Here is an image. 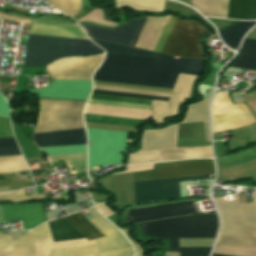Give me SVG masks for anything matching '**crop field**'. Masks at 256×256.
<instances>
[{
    "mask_svg": "<svg viewBox=\"0 0 256 256\" xmlns=\"http://www.w3.org/2000/svg\"><path fill=\"white\" fill-rule=\"evenodd\" d=\"M203 67L204 59L169 58L161 54L157 58L107 54L93 79L173 88L179 72L200 76Z\"/></svg>",
    "mask_w": 256,
    "mask_h": 256,
    "instance_id": "8a807250",
    "label": "crop field"
},
{
    "mask_svg": "<svg viewBox=\"0 0 256 256\" xmlns=\"http://www.w3.org/2000/svg\"><path fill=\"white\" fill-rule=\"evenodd\" d=\"M215 173L214 162L187 160L158 163L153 170L134 173V181ZM204 175L134 182L135 202L180 198L178 181L197 180Z\"/></svg>",
    "mask_w": 256,
    "mask_h": 256,
    "instance_id": "ac0d7876",
    "label": "crop field"
},
{
    "mask_svg": "<svg viewBox=\"0 0 256 256\" xmlns=\"http://www.w3.org/2000/svg\"><path fill=\"white\" fill-rule=\"evenodd\" d=\"M147 236L169 239L170 251L179 252V238H214L217 214L192 215L139 224Z\"/></svg>",
    "mask_w": 256,
    "mask_h": 256,
    "instance_id": "34b2d1b8",
    "label": "crop field"
},
{
    "mask_svg": "<svg viewBox=\"0 0 256 256\" xmlns=\"http://www.w3.org/2000/svg\"><path fill=\"white\" fill-rule=\"evenodd\" d=\"M221 217L219 234L256 237V189L253 203L214 198ZM219 235L216 244L256 247V238Z\"/></svg>",
    "mask_w": 256,
    "mask_h": 256,
    "instance_id": "412701ff",
    "label": "crop field"
},
{
    "mask_svg": "<svg viewBox=\"0 0 256 256\" xmlns=\"http://www.w3.org/2000/svg\"><path fill=\"white\" fill-rule=\"evenodd\" d=\"M66 38L30 35L27 44L25 67H43L57 58L64 57ZM104 51L94 43L67 38L65 56L102 54Z\"/></svg>",
    "mask_w": 256,
    "mask_h": 256,
    "instance_id": "f4fd0767",
    "label": "crop field"
},
{
    "mask_svg": "<svg viewBox=\"0 0 256 256\" xmlns=\"http://www.w3.org/2000/svg\"><path fill=\"white\" fill-rule=\"evenodd\" d=\"M208 31L194 20H182L171 15L154 51L205 58L200 38Z\"/></svg>",
    "mask_w": 256,
    "mask_h": 256,
    "instance_id": "dd49c442",
    "label": "crop field"
},
{
    "mask_svg": "<svg viewBox=\"0 0 256 256\" xmlns=\"http://www.w3.org/2000/svg\"><path fill=\"white\" fill-rule=\"evenodd\" d=\"M212 132L236 129L256 122L244 104L232 105L228 93L217 92L211 107Z\"/></svg>",
    "mask_w": 256,
    "mask_h": 256,
    "instance_id": "e52e79f7",
    "label": "crop field"
},
{
    "mask_svg": "<svg viewBox=\"0 0 256 256\" xmlns=\"http://www.w3.org/2000/svg\"><path fill=\"white\" fill-rule=\"evenodd\" d=\"M211 90L207 100L190 105L186 118L180 123L208 121V102L213 93ZM178 125L168 126L162 130L145 131L143 134V147L140 151L176 147ZM139 152V151H138Z\"/></svg>",
    "mask_w": 256,
    "mask_h": 256,
    "instance_id": "d8731c3e",
    "label": "crop field"
},
{
    "mask_svg": "<svg viewBox=\"0 0 256 256\" xmlns=\"http://www.w3.org/2000/svg\"><path fill=\"white\" fill-rule=\"evenodd\" d=\"M250 0H191L193 7L205 16L248 20ZM256 19V0L250 2L249 20Z\"/></svg>",
    "mask_w": 256,
    "mask_h": 256,
    "instance_id": "5a996713",
    "label": "crop field"
},
{
    "mask_svg": "<svg viewBox=\"0 0 256 256\" xmlns=\"http://www.w3.org/2000/svg\"><path fill=\"white\" fill-rule=\"evenodd\" d=\"M148 16L140 19H131L124 22L120 27L115 29H107L103 27H97L90 24H80L81 27L85 26L91 38L113 41L121 44L134 46L139 34L143 28V25Z\"/></svg>",
    "mask_w": 256,
    "mask_h": 256,
    "instance_id": "3316defc",
    "label": "crop field"
},
{
    "mask_svg": "<svg viewBox=\"0 0 256 256\" xmlns=\"http://www.w3.org/2000/svg\"><path fill=\"white\" fill-rule=\"evenodd\" d=\"M1 224L22 221L24 230L33 229L47 221L43 203L0 205Z\"/></svg>",
    "mask_w": 256,
    "mask_h": 256,
    "instance_id": "28ad6ade",
    "label": "crop field"
},
{
    "mask_svg": "<svg viewBox=\"0 0 256 256\" xmlns=\"http://www.w3.org/2000/svg\"><path fill=\"white\" fill-rule=\"evenodd\" d=\"M193 202H194V199L180 201V202H174V203H168V204H162V205H156V206H150V207H144V208H138V209H132L129 211L128 215L149 212V211H155V210H161V209H167V208H173V207H179V206H185V205H191V204H193ZM192 212H196L194 205L173 208V209H167V210H161V211H155V212H149V213H143V214H137V215H131V216H128L126 223H137V222L153 220V219L175 217V216H179V215H187Z\"/></svg>",
    "mask_w": 256,
    "mask_h": 256,
    "instance_id": "d1516ede",
    "label": "crop field"
},
{
    "mask_svg": "<svg viewBox=\"0 0 256 256\" xmlns=\"http://www.w3.org/2000/svg\"><path fill=\"white\" fill-rule=\"evenodd\" d=\"M88 212L94 217L89 219V221L106 236L95 239L101 251L119 250L131 247L123 234L103 218L95 208L88 210Z\"/></svg>",
    "mask_w": 256,
    "mask_h": 256,
    "instance_id": "22f410ed",
    "label": "crop field"
},
{
    "mask_svg": "<svg viewBox=\"0 0 256 256\" xmlns=\"http://www.w3.org/2000/svg\"><path fill=\"white\" fill-rule=\"evenodd\" d=\"M53 242L47 222L22 239L0 250V254L12 256H36V244Z\"/></svg>",
    "mask_w": 256,
    "mask_h": 256,
    "instance_id": "cbeb9de0",
    "label": "crop field"
},
{
    "mask_svg": "<svg viewBox=\"0 0 256 256\" xmlns=\"http://www.w3.org/2000/svg\"><path fill=\"white\" fill-rule=\"evenodd\" d=\"M30 34L71 37L88 40L78 25L43 19H33Z\"/></svg>",
    "mask_w": 256,
    "mask_h": 256,
    "instance_id": "5142ce71",
    "label": "crop field"
},
{
    "mask_svg": "<svg viewBox=\"0 0 256 256\" xmlns=\"http://www.w3.org/2000/svg\"><path fill=\"white\" fill-rule=\"evenodd\" d=\"M38 147L86 144L84 129L34 134Z\"/></svg>",
    "mask_w": 256,
    "mask_h": 256,
    "instance_id": "d9b57169",
    "label": "crop field"
},
{
    "mask_svg": "<svg viewBox=\"0 0 256 256\" xmlns=\"http://www.w3.org/2000/svg\"><path fill=\"white\" fill-rule=\"evenodd\" d=\"M168 18L149 17L135 46L153 51Z\"/></svg>",
    "mask_w": 256,
    "mask_h": 256,
    "instance_id": "733c2abd",
    "label": "crop field"
},
{
    "mask_svg": "<svg viewBox=\"0 0 256 256\" xmlns=\"http://www.w3.org/2000/svg\"><path fill=\"white\" fill-rule=\"evenodd\" d=\"M49 256H133V248L101 252L96 244L66 249H51Z\"/></svg>",
    "mask_w": 256,
    "mask_h": 256,
    "instance_id": "4a817a6b",
    "label": "crop field"
},
{
    "mask_svg": "<svg viewBox=\"0 0 256 256\" xmlns=\"http://www.w3.org/2000/svg\"><path fill=\"white\" fill-rule=\"evenodd\" d=\"M84 113L115 116V117H124V118H133V119H142V120L151 119V111L103 107V106H92V105H87Z\"/></svg>",
    "mask_w": 256,
    "mask_h": 256,
    "instance_id": "bc2a9ffb",
    "label": "crop field"
},
{
    "mask_svg": "<svg viewBox=\"0 0 256 256\" xmlns=\"http://www.w3.org/2000/svg\"><path fill=\"white\" fill-rule=\"evenodd\" d=\"M255 23L256 21H240L239 23L220 31V37L230 48L237 49L244 34L248 32Z\"/></svg>",
    "mask_w": 256,
    "mask_h": 256,
    "instance_id": "214f88e0",
    "label": "crop field"
},
{
    "mask_svg": "<svg viewBox=\"0 0 256 256\" xmlns=\"http://www.w3.org/2000/svg\"><path fill=\"white\" fill-rule=\"evenodd\" d=\"M231 66L256 70V40H244L240 57Z\"/></svg>",
    "mask_w": 256,
    "mask_h": 256,
    "instance_id": "92a150f3",
    "label": "crop field"
},
{
    "mask_svg": "<svg viewBox=\"0 0 256 256\" xmlns=\"http://www.w3.org/2000/svg\"><path fill=\"white\" fill-rule=\"evenodd\" d=\"M54 242L83 238L63 218L49 222Z\"/></svg>",
    "mask_w": 256,
    "mask_h": 256,
    "instance_id": "dafd665d",
    "label": "crop field"
},
{
    "mask_svg": "<svg viewBox=\"0 0 256 256\" xmlns=\"http://www.w3.org/2000/svg\"><path fill=\"white\" fill-rule=\"evenodd\" d=\"M66 219L88 240L104 236L93 225H91L81 213L66 217Z\"/></svg>",
    "mask_w": 256,
    "mask_h": 256,
    "instance_id": "00972430",
    "label": "crop field"
},
{
    "mask_svg": "<svg viewBox=\"0 0 256 256\" xmlns=\"http://www.w3.org/2000/svg\"><path fill=\"white\" fill-rule=\"evenodd\" d=\"M206 137L210 141L208 122H204ZM203 123L179 125L178 138L206 140Z\"/></svg>",
    "mask_w": 256,
    "mask_h": 256,
    "instance_id": "a9b5d70f",
    "label": "crop field"
},
{
    "mask_svg": "<svg viewBox=\"0 0 256 256\" xmlns=\"http://www.w3.org/2000/svg\"><path fill=\"white\" fill-rule=\"evenodd\" d=\"M116 8L130 6L142 11L163 12L164 0H116Z\"/></svg>",
    "mask_w": 256,
    "mask_h": 256,
    "instance_id": "4177f3b9",
    "label": "crop field"
},
{
    "mask_svg": "<svg viewBox=\"0 0 256 256\" xmlns=\"http://www.w3.org/2000/svg\"><path fill=\"white\" fill-rule=\"evenodd\" d=\"M50 161L65 160L75 173L86 171V153L47 156Z\"/></svg>",
    "mask_w": 256,
    "mask_h": 256,
    "instance_id": "730fd06b",
    "label": "crop field"
},
{
    "mask_svg": "<svg viewBox=\"0 0 256 256\" xmlns=\"http://www.w3.org/2000/svg\"><path fill=\"white\" fill-rule=\"evenodd\" d=\"M84 120L117 125L141 127L146 121L84 114Z\"/></svg>",
    "mask_w": 256,
    "mask_h": 256,
    "instance_id": "eef30255",
    "label": "crop field"
},
{
    "mask_svg": "<svg viewBox=\"0 0 256 256\" xmlns=\"http://www.w3.org/2000/svg\"><path fill=\"white\" fill-rule=\"evenodd\" d=\"M91 40H93L99 46L103 47L104 50H106L107 52L132 54V55H138V56H155L156 57L157 55L156 53H152L144 50H138V49L120 46L112 43L101 42L94 39H91Z\"/></svg>",
    "mask_w": 256,
    "mask_h": 256,
    "instance_id": "ae1a2a85",
    "label": "crop field"
},
{
    "mask_svg": "<svg viewBox=\"0 0 256 256\" xmlns=\"http://www.w3.org/2000/svg\"><path fill=\"white\" fill-rule=\"evenodd\" d=\"M28 170L21 156L0 157V173Z\"/></svg>",
    "mask_w": 256,
    "mask_h": 256,
    "instance_id": "d3111659",
    "label": "crop field"
},
{
    "mask_svg": "<svg viewBox=\"0 0 256 256\" xmlns=\"http://www.w3.org/2000/svg\"><path fill=\"white\" fill-rule=\"evenodd\" d=\"M213 253L230 256H256V248L216 245Z\"/></svg>",
    "mask_w": 256,
    "mask_h": 256,
    "instance_id": "750c4746",
    "label": "crop field"
},
{
    "mask_svg": "<svg viewBox=\"0 0 256 256\" xmlns=\"http://www.w3.org/2000/svg\"><path fill=\"white\" fill-rule=\"evenodd\" d=\"M128 155L129 157L127 160V164L146 163L150 161H162L158 150L142 153H131Z\"/></svg>",
    "mask_w": 256,
    "mask_h": 256,
    "instance_id": "bd1437ed",
    "label": "crop field"
},
{
    "mask_svg": "<svg viewBox=\"0 0 256 256\" xmlns=\"http://www.w3.org/2000/svg\"><path fill=\"white\" fill-rule=\"evenodd\" d=\"M21 155L14 138L0 139V156Z\"/></svg>",
    "mask_w": 256,
    "mask_h": 256,
    "instance_id": "1d83c4d3",
    "label": "crop field"
},
{
    "mask_svg": "<svg viewBox=\"0 0 256 256\" xmlns=\"http://www.w3.org/2000/svg\"><path fill=\"white\" fill-rule=\"evenodd\" d=\"M185 158L212 157L211 146L183 148Z\"/></svg>",
    "mask_w": 256,
    "mask_h": 256,
    "instance_id": "120bbe31",
    "label": "crop field"
},
{
    "mask_svg": "<svg viewBox=\"0 0 256 256\" xmlns=\"http://www.w3.org/2000/svg\"><path fill=\"white\" fill-rule=\"evenodd\" d=\"M88 103H90V104H97V105H104V106H114V107H124V108H135V109L151 110L150 106H146V105H137V104H129V103L111 102V101H103V100L89 99Z\"/></svg>",
    "mask_w": 256,
    "mask_h": 256,
    "instance_id": "d32e631a",
    "label": "crop field"
},
{
    "mask_svg": "<svg viewBox=\"0 0 256 256\" xmlns=\"http://www.w3.org/2000/svg\"><path fill=\"white\" fill-rule=\"evenodd\" d=\"M26 196L24 191H16V192H12V193H4V194H0V200H6V199H10V198H16V197H23ZM43 193L39 194V195H34V196H29V197H23V198H17V199H10L8 201H20V200H32V199H43Z\"/></svg>",
    "mask_w": 256,
    "mask_h": 256,
    "instance_id": "5866460e",
    "label": "crop field"
},
{
    "mask_svg": "<svg viewBox=\"0 0 256 256\" xmlns=\"http://www.w3.org/2000/svg\"><path fill=\"white\" fill-rule=\"evenodd\" d=\"M90 98L150 105V100H143V99L111 97V96L94 95V94H92Z\"/></svg>",
    "mask_w": 256,
    "mask_h": 256,
    "instance_id": "028f5c9d",
    "label": "crop field"
},
{
    "mask_svg": "<svg viewBox=\"0 0 256 256\" xmlns=\"http://www.w3.org/2000/svg\"><path fill=\"white\" fill-rule=\"evenodd\" d=\"M93 93L106 94V95H116V96H125V97H135V98H144V99H154V100H164V101H168V99H169V98H165V97H155V96L136 95V94L117 93V92L98 91V90H94Z\"/></svg>",
    "mask_w": 256,
    "mask_h": 256,
    "instance_id": "e1f06a70",
    "label": "crop field"
},
{
    "mask_svg": "<svg viewBox=\"0 0 256 256\" xmlns=\"http://www.w3.org/2000/svg\"><path fill=\"white\" fill-rule=\"evenodd\" d=\"M210 249L211 248H180V256H208Z\"/></svg>",
    "mask_w": 256,
    "mask_h": 256,
    "instance_id": "0bd39190",
    "label": "crop field"
},
{
    "mask_svg": "<svg viewBox=\"0 0 256 256\" xmlns=\"http://www.w3.org/2000/svg\"><path fill=\"white\" fill-rule=\"evenodd\" d=\"M14 137L9 119L0 117V138Z\"/></svg>",
    "mask_w": 256,
    "mask_h": 256,
    "instance_id": "b80d0937",
    "label": "crop field"
},
{
    "mask_svg": "<svg viewBox=\"0 0 256 256\" xmlns=\"http://www.w3.org/2000/svg\"><path fill=\"white\" fill-rule=\"evenodd\" d=\"M154 164H143V165H138V166H128V169L125 172H120V173H127V172H134V171H141V170H149L153 168ZM119 174V173H115ZM114 175V174H112Z\"/></svg>",
    "mask_w": 256,
    "mask_h": 256,
    "instance_id": "c035e120",
    "label": "crop field"
},
{
    "mask_svg": "<svg viewBox=\"0 0 256 256\" xmlns=\"http://www.w3.org/2000/svg\"><path fill=\"white\" fill-rule=\"evenodd\" d=\"M211 145L207 142L178 140L177 147Z\"/></svg>",
    "mask_w": 256,
    "mask_h": 256,
    "instance_id": "c21b1889",
    "label": "crop field"
},
{
    "mask_svg": "<svg viewBox=\"0 0 256 256\" xmlns=\"http://www.w3.org/2000/svg\"><path fill=\"white\" fill-rule=\"evenodd\" d=\"M124 234L126 235V237L129 239V241L131 242V244L134 246L135 251H136V256H142V248L140 245H138L137 243H135L128 235V231L126 229H122L120 228Z\"/></svg>",
    "mask_w": 256,
    "mask_h": 256,
    "instance_id": "03da06ac",
    "label": "crop field"
},
{
    "mask_svg": "<svg viewBox=\"0 0 256 256\" xmlns=\"http://www.w3.org/2000/svg\"><path fill=\"white\" fill-rule=\"evenodd\" d=\"M99 211L106 217L113 215V213L106 207L105 203L96 204Z\"/></svg>",
    "mask_w": 256,
    "mask_h": 256,
    "instance_id": "b54c1fbb",
    "label": "crop field"
},
{
    "mask_svg": "<svg viewBox=\"0 0 256 256\" xmlns=\"http://www.w3.org/2000/svg\"><path fill=\"white\" fill-rule=\"evenodd\" d=\"M12 242L9 235L0 234V248L5 246L6 244Z\"/></svg>",
    "mask_w": 256,
    "mask_h": 256,
    "instance_id": "5d738f31",
    "label": "crop field"
},
{
    "mask_svg": "<svg viewBox=\"0 0 256 256\" xmlns=\"http://www.w3.org/2000/svg\"><path fill=\"white\" fill-rule=\"evenodd\" d=\"M165 256H179V253H169V252H166Z\"/></svg>",
    "mask_w": 256,
    "mask_h": 256,
    "instance_id": "d23c7cc5",
    "label": "crop field"
},
{
    "mask_svg": "<svg viewBox=\"0 0 256 256\" xmlns=\"http://www.w3.org/2000/svg\"><path fill=\"white\" fill-rule=\"evenodd\" d=\"M213 256H223V255H216V254H213Z\"/></svg>",
    "mask_w": 256,
    "mask_h": 256,
    "instance_id": "425ffa30",
    "label": "crop field"
},
{
    "mask_svg": "<svg viewBox=\"0 0 256 256\" xmlns=\"http://www.w3.org/2000/svg\"><path fill=\"white\" fill-rule=\"evenodd\" d=\"M56 80H58V79H56Z\"/></svg>",
    "mask_w": 256,
    "mask_h": 256,
    "instance_id": "25e5ab78",
    "label": "crop field"
},
{
    "mask_svg": "<svg viewBox=\"0 0 256 256\" xmlns=\"http://www.w3.org/2000/svg\"><path fill=\"white\" fill-rule=\"evenodd\" d=\"M63 196V195H62Z\"/></svg>",
    "mask_w": 256,
    "mask_h": 256,
    "instance_id": "73cf0c24",
    "label": "crop field"
}]
</instances>
